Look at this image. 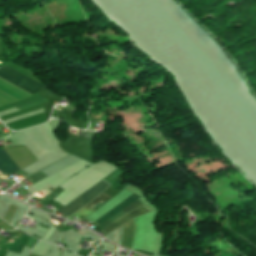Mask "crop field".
Wrapping results in <instances>:
<instances>
[{"instance_id":"6","label":"crop field","mask_w":256,"mask_h":256,"mask_svg":"<svg viewBox=\"0 0 256 256\" xmlns=\"http://www.w3.org/2000/svg\"><path fill=\"white\" fill-rule=\"evenodd\" d=\"M136 199H138L137 197H135L133 194L131 196H129L127 199H125L123 202H121L120 204H118L117 206H115L114 208H112L111 210H109L107 213H105L103 216H101L95 223H97L98 225L105 221L106 219L110 218L111 216H113L115 213H117L119 210H121L122 208H124L125 206H127L128 204H130L131 202L135 201Z\"/></svg>"},{"instance_id":"5","label":"crop field","mask_w":256,"mask_h":256,"mask_svg":"<svg viewBox=\"0 0 256 256\" xmlns=\"http://www.w3.org/2000/svg\"><path fill=\"white\" fill-rule=\"evenodd\" d=\"M141 205H143L139 199L136 200L135 202L131 203L130 205H128L127 207H125L124 209H122L121 211H119L117 214H115L113 217H111L110 219L106 220L105 222L101 223L99 226L103 229L106 226H108L110 223L118 220L119 218H121L122 216H124L125 214H127L128 212L140 207Z\"/></svg>"},{"instance_id":"3","label":"crop field","mask_w":256,"mask_h":256,"mask_svg":"<svg viewBox=\"0 0 256 256\" xmlns=\"http://www.w3.org/2000/svg\"><path fill=\"white\" fill-rule=\"evenodd\" d=\"M19 169L14 162L8 157V155L0 149V171L8 176L17 172Z\"/></svg>"},{"instance_id":"2","label":"crop field","mask_w":256,"mask_h":256,"mask_svg":"<svg viewBox=\"0 0 256 256\" xmlns=\"http://www.w3.org/2000/svg\"><path fill=\"white\" fill-rule=\"evenodd\" d=\"M109 184L99 181L79 197H77L74 201H72L67 206L63 207L59 212L69 216L77 211L79 208L83 207L86 203L90 202L94 199L99 193H101L104 189H106Z\"/></svg>"},{"instance_id":"1","label":"crop field","mask_w":256,"mask_h":256,"mask_svg":"<svg viewBox=\"0 0 256 256\" xmlns=\"http://www.w3.org/2000/svg\"><path fill=\"white\" fill-rule=\"evenodd\" d=\"M0 77L20 87L21 89L34 94L44 88L45 86L27 78L26 76L6 67H0Z\"/></svg>"},{"instance_id":"7","label":"crop field","mask_w":256,"mask_h":256,"mask_svg":"<svg viewBox=\"0 0 256 256\" xmlns=\"http://www.w3.org/2000/svg\"><path fill=\"white\" fill-rule=\"evenodd\" d=\"M110 198L112 197L102 192L91 203L87 204L85 207L95 210Z\"/></svg>"},{"instance_id":"4","label":"crop field","mask_w":256,"mask_h":256,"mask_svg":"<svg viewBox=\"0 0 256 256\" xmlns=\"http://www.w3.org/2000/svg\"><path fill=\"white\" fill-rule=\"evenodd\" d=\"M146 208V207H145ZM143 208L140 207L132 212H130L129 214L125 215L124 217H122L121 219H119L118 221L114 222L113 224L109 225L108 227H106L105 229H103L105 231V233L107 234L109 231L116 229L117 227H119L120 225H122L123 223L127 222L128 220L134 218L137 215H141L144 214L146 212H148L146 209L148 208ZM149 210V209H148ZM151 211V210H149Z\"/></svg>"}]
</instances>
